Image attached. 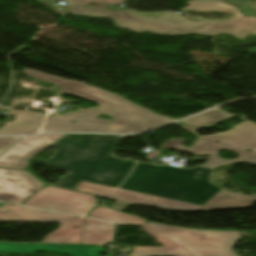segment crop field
Returning a JSON list of instances; mask_svg holds the SVG:
<instances>
[{"label":"crop field","mask_w":256,"mask_h":256,"mask_svg":"<svg viewBox=\"0 0 256 256\" xmlns=\"http://www.w3.org/2000/svg\"><path fill=\"white\" fill-rule=\"evenodd\" d=\"M248 52L256 53V48H255V49H252V50H250V51H248Z\"/></svg>","instance_id":"obj_20"},{"label":"crop field","mask_w":256,"mask_h":256,"mask_svg":"<svg viewBox=\"0 0 256 256\" xmlns=\"http://www.w3.org/2000/svg\"><path fill=\"white\" fill-rule=\"evenodd\" d=\"M128 205L130 204L120 202L116 205L114 210L108 209L106 207H98L95 210H93L89 214V216L113 220L116 222V225H141L146 223V221L143 219H139L134 216L121 212Z\"/></svg>","instance_id":"obj_12"},{"label":"crop field","mask_w":256,"mask_h":256,"mask_svg":"<svg viewBox=\"0 0 256 256\" xmlns=\"http://www.w3.org/2000/svg\"><path fill=\"white\" fill-rule=\"evenodd\" d=\"M230 117H233V116L224 114L220 111L212 110L208 113L201 114L184 121L197 129H201L207 126L214 125L219 121L225 120Z\"/></svg>","instance_id":"obj_13"},{"label":"crop field","mask_w":256,"mask_h":256,"mask_svg":"<svg viewBox=\"0 0 256 256\" xmlns=\"http://www.w3.org/2000/svg\"><path fill=\"white\" fill-rule=\"evenodd\" d=\"M229 1H231L238 7L241 5H245V6L256 9V0H229Z\"/></svg>","instance_id":"obj_17"},{"label":"crop field","mask_w":256,"mask_h":256,"mask_svg":"<svg viewBox=\"0 0 256 256\" xmlns=\"http://www.w3.org/2000/svg\"><path fill=\"white\" fill-rule=\"evenodd\" d=\"M0 221L60 223V228L47 235L42 242L105 244L112 240V222L8 202L0 208Z\"/></svg>","instance_id":"obj_6"},{"label":"crop field","mask_w":256,"mask_h":256,"mask_svg":"<svg viewBox=\"0 0 256 256\" xmlns=\"http://www.w3.org/2000/svg\"><path fill=\"white\" fill-rule=\"evenodd\" d=\"M23 204L82 215L96 206L91 195L53 187H44Z\"/></svg>","instance_id":"obj_9"},{"label":"crop field","mask_w":256,"mask_h":256,"mask_svg":"<svg viewBox=\"0 0 256 256\" xmlns=\"http://www.w3.org/2000/svg\"><path fill=\"white\" fill-rule=\"evenodd\" d=\"M75 190L115 199L118 201L129 202L136 205L155 206L174 211L241 208L252 206V203L256 201V196H246L238 193H232L224 189H222L204 206L149 196L84 181H81Z\"/></svg>","instance_id":"obj_7"},{"label":"crop field","mask_w":256,"mask_h":256,"mask_svg":"<svg viewBox=\"0 0 256 256\" xmlns=\"http://www.w3.org/2000/svg\"><path fill=\"white\" fill-rule=\"evenodd\" d=\"M235 128L256 135V124H253L251 122H248V121L243 122L237 125Z\"/></svg>","instance_id":"obj_16"},{"label":"crop field","mask_w":256,"mask_h":256,"mask_svg":"<svg viewBox=\"0 0 256 256\" xmlns=\"http://www.w3.org/2000/svg\"><path fill=\"white\" fill-rule=\"evenodd\" d=\"M124 136L68 134L52 147L58 150L48 161H29L69 170L54 185L74 190L81 180L120 188L137 162L112 156Z\"/></svg>","instance_id":"obj_2"},{"label":"crop field","mask_w":256,"mask_h":256,"mask_svg":"<svg viewBox=\"0 0 256 256\" xmlns=\"http://www.w3.org/2000/svg\"><path fill=\"white\" fill-rule=\"evenodd\" d=\"M10 115L22 116V118L14 123L5 124L0 130V134H31L40 130L46 115L34 111L25 110H9ZM29 116H32L30 118ZM15 126V127H14Z\"/></svg>","instance_id":"obj_11"},{"label":"crop field","mask_w":256,"mask_h":256,"mask_svg":"<svg viewBox=\"0 0 256 256\" xmlns=\"http://www.w3.org/2000/svg\"><path fill=\"white\" fill-rule=\"evenodd\" d=\"M36 251L70 256H98L100 253L106 252L100 245L0 243V252L33 253Z\"/></svg>","instance_id":"obj_10"},{"label":"crop field","mask_w":256,"mask_h":256,"mask_svg":"<svg viewBox=\"0 0 256 256\" xmlns=\"http://www.w3.org/2000/svg\"><path fill=\"white\" fill-rule=\"evenodd\" d=\"M157 154H159L158 152H152V153H150V154H148L147 156H148V158L151 160L152 158H154ZM158 156V155H157ZM153 160V159H152Z\"/></svg>","instance_id":"obj_19"},{"label":"crop field","mask_w":256,"mask_h":256,"mask_svg":"<svg viewBox=\"0 0 256 256\" xmlns=\"http://www.w3.org/2000/svg\"><path fill=\"white\" fill-rule=\"evenodd\" d=\"M215 167L204 164L188 170L138 163L121 188L204 205L222 189L209 180ZM197 171L202 172L195 178L193 175Z\"/></svg>","instance_id":"obj_4"},{"label":"crop field","mask_w":256,"mask_h":256,"mask_svg":"<svg viewBox=\"0 0 256 256\" xmlns=\"http://www.w3.org/2000/svg\"><path fill=\"white\" fill-rule=\"evenodd\" d=\"M21 137H0V154Z\"/></svg>","instance_id":"obj_15"},{"label":"crop field","mask_w":256,"mask_h":256,"mask_svg":"<svg viewBox=\"0 0 256 256\" xmlns=\"http://www.w3.org/2000/svg\"><path fill=\"white\" fill-rule=\"evenodd\" d=\"M189 6L185 9L195 11L214 10L235 14L225 22L199 20L191 22L177 13H168L159 20H145L127 9L120 12L92 10L69 5L72 14L114 19L117 26L134 32H151L161 35H188L199 34L215 36L226 33L243 39L251 33H256V17L243 16L234 6L215 2L212 0L187 1Z\"/></svg>","instance_id":"obj_3"},{"label":"crop field","mask_w":256,"mask_h":256,"mask_svg":"<svg viewBox=\"0 0 256 256\" xmlns=\"http://www.w3.org/2000/svg\"><path fill=\"white\" fill-rule=\"evenodd\" d=\"M175 124L178 126L183 125L184 127H182V129L196 135L198 140L190 148H184L182 147L185 143L183 140L171 139L169 142L161 146L162 148H177L181 150L188 149L190 150L188 152L191 154L210 155V158L206 163L218 166L239 162L256 165V136L236 129H231L225 133L200 137L195 132L196 129L185 122L181 121ZM214 141L220 142L214 143ZM246 149H250L253 152L248 153L246 152ZM220 150H230L237 153L239 157L233 160H223L218 157V151Z\"/></svg>","instance_id":"obj_8"},{"label":"crop field","mask_w":256,"mask_h":256,"mask_svg":"<svg viewBox=\"0 0 256 256\" xmlns=\"http://www.w3.org/2000/svg\"><path fill=\"white\" fill-rule=\"evenodd\" d=\"M240 9L243 11L245 14H250V15H256V10L242 6Z\"/></svg>","instance_id":"obj_18"},{"label":"crop field","mask_w":256,"mask_h":256,"mask_svg":"<svg viewBox=\"0 0 256 256\" xmlns=\"http://www.w3.org/2000/svg\"><path fill=\"white\" fill-rule=\"evenodd\" d=\"M24 73L30 77L57 85L63 93L75 95L99 104L98 108L65 113L63 117L49 116L41 132L137 133L176 121L158 116L149 110L126 101L123 97L77 81L61 79L30 69H25ZM99 112L109 115L114 119L113 122L95 119L96 115H101ZM70 120L78 121V123H69Z\"/></svg>","instance_id":"obj_1"},{"label":"crop field","mask_w":256,"mask_h":256,"mask_svg":"<svg viewBox=\"0 0 256 256\" xmlns=\"http://www.w3.org/2000/svg\"><path fill=\"white\" fill-rule=\"evenodd\" d=\"M68 3L77 4L81 6H85L88 3L98 2V3H105V4H121L124 0H65Z\"/></svg>","instance_id":"obj_14"},{"label":"crop field","mask_w":256,"mask_h":256,"mask_svg":"<svg viewBox=\"0 0 256 256\" xmlns=\"http://www.w3.org/2000/svg\"><path fill=\"white\" fill-rule=\"evenodd\" d=\"M164 247H134L130 256H238V231H201L155 223L141 226Z\"/></svg>","instance_id":"obj_5"}]
</instances>
